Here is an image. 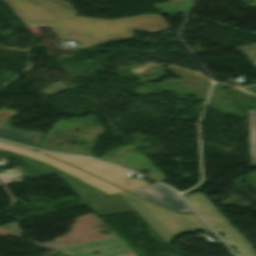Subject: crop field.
Instances as JSON below:
<instances>
[{
	"label": "crop field",
	"instance_id": "obj_1",
	"mask_svg": "<svg viewBox=\"0 0 256 256\" xmlns=\"http://www.w3.org/2000/svg\"><path fill=\"white\" fill-rule=\"evenodd\" d=\"M26 25L46 24L60 39L74 38L83 46L112 38L129 39L133 30L157 32L169 29L160 15L150 14L117 20L71 16L36 0H3Z\"/></svg>",
	"mask_w": 256,
	"mask_h": 256
},
{
	"label": "crop field",
	"instance_id": "obj_2",
	"mask_svg": "<svg viewBox=\"0 0 256 256\" xmlns=\"http://www.w3.org/2000/svg\"><path fill=\"white\" fill-rule=\"evenodd\" d=\"M85 204L98 216L135 211L167 245L178 234L208 229L195 213L178 215L126 192Z\"/></svg>",
	"mask_w": 256,
	"mask_h": 256
},
{
	"label": "crop field",
	"instance_id": "obj_3",
	"mask_svg": "<svg viewBox=\"0 0 256 256\" xmlns=\"http://www.w3.org/2000/svg\"><path fill=\"white\" fill-rule=\"evenodd\" d=\"M0 153L25 163L33 179L56 173L85 202L123 192L106 182L39 152L0 142Z\"/></svg>",
	"mask_w": 256,
	"mask_h": 256
},
{
	"label": "crop field",
	"instance_id": "obj_4",
	"mask_svg": "<svg viewBox=\"0 0 256 256\" xmlns=\"http://www.w3.org/2000/svg\"><path fill=\"white\" fill-rule=\"evenodd\" d=\"M185 198L216 232L225 234L223 239L228 245H234L237 248L235 252L238 253V256H256V251L202 193L186 196Z\"/></svg>",
	"mask_w": 256,
	"mask_h": 256
},
{
	"label": "crop field",
	"instance_id": "obj_5",
	"mask_svg": "<svg viewBox=\"0 0 256 256\" xmlns=\"http://www.w3.org/2000/svg\"><path fill=\"white\" fill-rule=\"evenodd\" d=\"M39 152L54 157L56 159L62 160L64 162H67L69 164H72L74 166H77L125 191L149 184L143 180L131 178L129 175L132 172L124 171L117 167L103 164L94 160L77 156L52 154L43 151Z\"/></svg>",
	"mask_w": 256,
	"mask_h": 256
},
{
	"label": "crop field",
	"instance_id": "obj_6",
	"mask_svg": "<svg viewBox=\"0 0 256 256\" xmlns=\"http://www.w3.org/2000/svg\"><path fill=\"white\" fill-rule=\"evenodd\" d=\"M178 213L193 212L172 189L157 183L128 191Z\"/></svg>",
	"mask_w": 256,
	"mask_h": 256
},
{
	"label": "crop field",
	"instance_id": "obj_7",
	"mask_svg": "<svg viewBox=\"0 0 256 256\" xmlns=\"http://www.w3.org/2000/svg\"><path fill=\"white\" fill-rule=\"evenodd\" d=\"M43 133L29 132L10 126L7 121L0 125V138L35 147Z\"/></svg>",
	"mask_w": 256,
	"mask_h": 256
},
{
	"label": "crop field",
	"instance_id": "obj_8",
	"mask_svg": "<svg viewBox=\"0 0 256 256\" xmlns=\"http://www.w3.org/2000/svg\"><path fill=\"white\" fill-rule=\"evenodd\" d=\"M249 144L251 165L256 164V111L249 110Z\"/></svg>",
	"mask_w": 256,
	"mask_h": 256
},
{
	"label": "crop field",
	"instance_id": "obj_9",
	"mask_svg": "<svg viewBox=\"0 0 256 256\" xmlns=\"http://www.w3.org/2000/svg\"><path fill=\"white\" fill-rule=\"evenodd\" d=\"M43 2H46L58 9H61L65 12H68L70 14H74L77 15V12L75 11V9L72 7L71 4L63 1V0H41Z\"/></svg>",
	"mask_w": 256,
	"mask_h": 256
},
{
	"label": "crop field",
	"instance_id": "obj_10",
	"mask_svg": "<svg viewBox=\"0 0 256 256\" xmlns=\"http://www.w3.org/2000/svg\"><path fill=\"white\" fill-rule=\"evenodd\" d=\"M256 66V43L237 47Z\"/></svg>",
	"mask_w": 256,
	"mask_h": 256
},
{
	"label": "crop field",
	"instance_id": "obj_11",
	"mask_svg": "<svg viewBox=\"0 0 256 256\" xmlns=\"http://www.w3.org/2000/svg\"><path fill=\"white\" fill-rule=\"evenodd\" d=\"M16 111L12 110H0V124L10 118Z\"/></svg>",
	"mask_w": 256,
	"mask_h": 256
},
{
	"label": "crop field",
	"instance_id": "obj_12",
	"mask_svg": "<svg viewBox=\"0 0 256 256\" xmlns=\"http://www.w3.org/2000/svg\"><path fill=\"white\" fill-rule=\"evenodd\" d=\"M0 186H3L1 182H0Z\"/></svg>",
	"mask_w": 256,
	"mask_h": 256
}]
</instances>
